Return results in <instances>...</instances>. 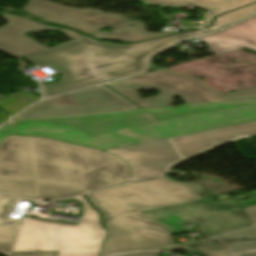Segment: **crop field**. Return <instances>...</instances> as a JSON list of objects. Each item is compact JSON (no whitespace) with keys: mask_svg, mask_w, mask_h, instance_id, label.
<instances>
[{"mask_svg":"<svg viewBox=\"0 0 256 256\" xmlns=\"http://www.w3.org/2000/svg\"><path fill=\"white\" fill-rule=\"evenodd\" d=\"M7 118H9V117L6 116L5 114H3L2 112H0V123L3 122L4 120H6Z\"/></svg>","mask_w":256,"mask_h":256,"instance_id":"25","label":"crop field"},{"mask_svg":"<svg viewBox=\"0 0 256 256\" xmlns=\"http://www.w3.org/2000/svg\"><path fill=\"white\" fill-rule=\"evenodd\" d=\"M211 143H213L214 145H218V144H216L214 141H210Z\"/></svg>","mask_w":256,"mask_h":256,"instance_id":"27","label":"crop field"},{"mask_svg":"<svg viewBox=\"0 0 256 256\" xmlns=\"http://www.w3.org/2000/svg\"><path fill=\"white\" fill-rule=\"evenodd\" d=\"M200 189V184L175 182L165 175L87 194L102 211L109 232L101 254L174 245L171 234L138 211L201 199L196 194Z\"/></svg>","mask_w":256,"mask_h":256,"instance_id":"3","label":"crop field"},{"mask_svg":"<svg viewBox=\"0 0 256 256\" xmlns=\"http://www.w3.org/2000/svg\"><path fill=\"white\" fill-rule=\"evenodd\" d=\"M236 133L256 134V122L106 150V152L118 156L130 165L132 176L130 180H135L163 174L173 163L213 147L210 140L221 144L238 139Z\"/></svg>","mask_w":256,"mask_h":256,"instance_id":"5","label":"crop field"},{"mask_svg":"<svg viewBox=\"0 0 256 256\" xmlns=\"http://www.w3.org/2000/svg\"><path fill=\"white\" fill-rule=\"evenodd\" d=\"M29 1V0H28ZM23 10L43 20L75 27L87 34L103 27H112L129 19L115 13H104L92 8L80 10L58 5L47 0H31Z\"/></svg>","mask_w":256,"mask_h":256,"instance_id":"10","label":"crop field"},{"mask_svg":"<svg viewBox=\"0 0 256 256\" xmlns=\"http://www.w3.org/2000/svg\"><path fill=\"white\" fill-rule=\"evenodd\" d=\"M183 27H188L191 26V21L190 20H185V21H181Z\"/></svg>","mask_w":256,"mask_h":256,"instance_id":"24","label":"crop field"},{"mask_svg":"<svg viewBox=\"0 0 256 256\" xmlns=\"http://www.w3.org/2000/svg\"><path fill=\"white\" fill-rule=\"evenodd\" d=\"M100 256H104V255H100Z\"/></svg>","mask_w":256,"mask_h":256,"instance_id":"28","label":"crop field"},{"mask_svg":"<svg viewBox=\"0 0 256 256\" xmlns=\"http://www.w3.org/2000/svg\"><path fill=\"white\" fill-rule=\"evenodd\" d=\"M15 200L0 195V254L7 256L13 246L22 220H13L4 215L10 210ZM3 221L14 222L13 226L2 225ZM9 224V223H7Z\"/></svg>","mask_w":256,"mask_h":256,"instance_id":"15","label":"crop field"},{"mask_svg":"<svg viewBox=\"0 0 256 256\" xmlns=\"http://www.w3.org/2000/svg\"><path fill=\"white\" fill-rule=\"evenodd\" d=\"M72 199L81 201L85 205V211L78 225L27 218L21 227L13 251L59 250L56 256H98L106 237L99 215L83 196Z\"/></svg>","mask_w":256,"mask_h":256,"instance_id":"6","label":"crop field"},{"mask_svg":"<svg viewBox=\"0 0 256 256\" xmlns=\"http://www.w3.org/2000/svg\"><path fill=\"white\" fill-rule=\"evenodd\" d=\"M140 22L141 24L137 23ZM133 23L135 24L134 27L129 26L128 24ZM126 25V26H123ZM111 33H106L102 31L95 32L93 34H90L91 36L95 38H101V39H110V40H120V41H130V42H136L144 39L174 34V33H180V32H173V33H150L145 31V25L141 21H130L115 27H112ZM198 28H192V29H183L181 32L191 31ZM148 34V35H146Z\"/></svg>","mask_w":256,"mask_h":256,"instance_id":"14","label":"crop field"},{"mask_svg":"<svg viewBox=\"0 0 256 256\" xmlns=\"http://www.w3.org/2000/svg\"><path fill=\"white\" fill-rule=\"evenodd\" d=\"M108 87L141 108L169 106L174 103L171 98L175 96L183 97L187 104L256 97V89L237 90L234 94L224 93L196 77L170 68L109 84ZM153 89H160L159 94L153 98L141 99L136 93Z\"/></svg>","mask_w":256,"mask_h":256,"instance_id":"7","label":"crop field"},{"mask_svg":"<svg viewBox=\"0 0 256 256\" xmlns=\"http://www.w3.org/2000/svg\"><path fill=\"white\" fill-rule=\"evenodd\" d=\"M150 6H187L193 5L197 8L208 10L205 17V26L211 24L212 19L221 13L250 4L256 0H139Z\"/></svg>","mask_w":256,"mask_h":256,"instance_id":"13","label":"crop field"},{"mask_svg":"<svg viewBox=\"0 0 256 256\" xmlns=\"http://www.w3.org/2000/svg\"><path fill=\"white\" fill-rule=\"evenodd\" d=\"M240 138L243 136H248V135H243V134H237Z\"/></svg>","mask_w":256,"mask_h":256,"instance_id":"26","label":"crop field"},{"mask_svg":"<svg viewBox=\"0 0 256 256\" xmlns=\"http://www.w3.org/2000/svg\"><path fill=\"white\" fill-rule=\"evenodd\" d=\"M3 18L10 24L0 28V50L8 52L17 57L29 55L44 49H47L42 44L28 38L23 33L29 31H40L44 29H55L64 31L66 35L74 40L81 35H78L70 30L50 27L45 24L27 20L23 17L2 13Z\"/></svg>","mask_w":256,"mask_h":256,"instance_id":"11","label":"crop field"},{"mask_svg":"<svg viewBox=\"0 0 256 256\" xmlns=\"http://www.w3.org/2000/svg\"><path fill=\"white\" fill-rule=\"evenodd\" d=\"M202 38L216 55L243 47L256 50V16L219 34Z\"/></svg>","mask_w":256,"mask_h":256,"instance_id":"12","label":"crop field"},{"mask_svg":"<svg viewBox=\"0 0 256 256\" xmlns=\"http://www.w3.org/2000/svg\"><path fill=\"white\" fill-rule=\"evenodd\" d=\"M128 179V165L102 151L36 137H8L0 145L3 195L64 199Z\"/></svg>","mask_w":256,"mask_h":256,"instance_id":"2","label":"crop field"},{"mask_svg":"<svg viewBox=\"0 0 256 256\" xmlns=\"http://www.w3.org/2000/svg\"><path fill=\"white\" fill-rule=\"evenodd\" d=\"M256 13V4L251 5L249 7L240 9L238 11L232 12L230 14L224 15L216 19L214 26L207 28L204 30V33L211 32L222 27H225L231 23H234L238 20H241L247 16Z\"/></svg>","mask_w":256,"mask_h":256,"instance_id":"19","label":"crop field"},{"mask_svg":"<svg viewBox=\"0 0 256 256\" xmlns=\"http://www.w3.org/2000/svg\"><path fill=\"white\" fill-rule=\"evenodd\" d=\"M57 252H13L11 256H55Z\"/></svg>","mask_w":256,"mask_h":256,"instance_id":"20","label":"crop field"},{"mask_svg":"<svg viewBox=\"0 0 256 256\" xmlns=\"http://www.w3.org/2000/svg\"><path fill=\"white\" fill-rule=\"evenodd\" d=\"M188 246L202 256H219L234 253V251L217 238L200 243L188 244Z\"/></svg>","mask_w":256,"mask_h":256,"instance_id":"18","label":"crop field"},{"mask_svg":"<svg viewBox=\"0 0 256 256\" xmlns=\"http://www.w3.org/2000/svg\"><path fill=\"white\" fill-rule=\"evenodd\" d=\"M36 100H38V98H36L32 94H24L23 92L19 91L1 100L0 109L9 114L10 116H12L21 108L27 106L28 104Z\"/></svg>","mask_w":256,"mask_h":256,"instance_id":"17","label":"crop field"},{"mask_svg":"<svg viewBox=\"0 0 256 256\" xmlns=\"http://www.w3.org/2000/svg\"><path fill=\"white\" fill-rule=\"evenodd\" d=\"M245 210L247 214L250 216V218L252 219V221L254 222V224L256 225V206L246 208Z\"/></svg>","mask_w":256,"mask_h":256,"instance_id":"22","label":"crop field"},{"mask_svg":"<svg viewBox=\"0 0 256 256\" xmlns=\"http://www.w3.org/2000/svg\"><path fill=\"white\" fill-rule=\"evenodd\" d=\"M158 255H159V252H145V253L122 255V256H158ZM233 256H256V251L255 252L242 253V254L233 255Z\"/></svg>","mask_w":256,"mask_h":256,"instance_id":"21","label":"crop field"},{"mask_svg":"<svg viewBox=\"0 0 256 256\" xmlns=\"http://www.w3.org/2000/svg\"><path fill=\"white\" fill-rule=\"evenodd\" d=\"M93 108V110H90ZM138 108L105 86L47 99L15 119Z\"/></svg>","mask_w":256,"mask_h":256,"instance_id":"9","label":"crop field"},{"mask_svg":"<svg viewBox=\"0 0 256 256\" xmlns=\"http://www.w3.org/2000/svg\"><path fill=\"white\" fill-rule=\"evenodd\" d=\"M235 252L256 249V227L218 237Z\"/></svg>","mask_w":256,"mask_h":256,"instance_id":"16","label":"crop field"},{"mask_svg":"<svg viewBox=\"0 0 256 256\" xmlns=\"http://www.w3.org/2000/svg\"><path fill=\"white\" fill-rule=\"evenodd\" d=\"M140 213L171 234L189 232L185 225L198 222L205 239L252 226L238 208L210 207L199 200Z\"/></svg>","mask_w":256,"mask_h":256,"instance_id":"8","label":"crop field"},{"mask_svg":"<svg viewBox=\"0 0 256 256\" xmlns=\"http://www.w3.org/2000/svg\"><path fill=\"white\" fill-rule=\"evenodd\" d=\"M159 14L162 16V18H163L164 20L173 19L172 14H165V13H163L162 11L159 12Z\"/></svg>","mask_w":256,"mask_h":256,"instance_id":"23","label":"crop field"},{"mask_svg":"<svg viewBox=\"0 0 256 256\" xmlns=\"http://www.w3.org/2000/svg\"><path fill=\"white\" fill-rule=\"evenodd\" d=\"M201 31L180 34L135 45H113L86 36L26 56L42 67L46 64L64 76L60 82L43 86L44 96H51L97 82L136 74L145 68V59L179 38Z\"/></svg>","mask_w":256,"mask_h":256,"instance_id":"4","label":"crop field"},{"mask_svg":"<svg viewBox=\"0 0 256 256\" xmlns=\"http://www.w3.org/2000/svg\"><path fill=\"white\" fill-rule=\"evenodd\" d=\"M256 121V98L14 120L8 135L37 136L106 150Z\"/></svg>","mask_w":256,"mask_h":256,"instance_id":"1","label":"crop field"}]
</instances>
